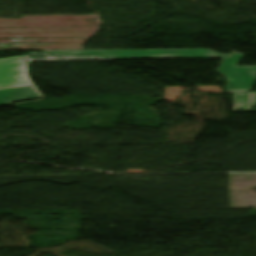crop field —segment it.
Segmentation results:
<instances>
[{
	"label": "crop field",
	"mask_w": 256,
	"mask_h": 256,
	"mask_svg": "<svg viewBox=\"0 0 256 256\" xmlns=\"http://www.w3.org/2000/svg\"><path fill=\"white\" fill-rule=\"evenodd\" d=\"M69 55H100L115 59L224 58L217 70L229 78L227 93L252 90L256 66L236 67L242 53L220 54L210 49L44 51Z\"/></svg>",
	"instance_id": "8a807250"
},
{
	"label": "crop field",
	"mask_w": 256,
	"mask_h": 256,
	"mask_svg": "<svg viewBox=\"0 0 256 256\" xmlns=\"http://www.w3.org/2000/svg\"><path fill=\"white\" fill-rule=\"evenodd\" d=\"M30 85L23 56L0 59V90Z\"/></svg>",
	"instance_id": "ac0d7876"
},
{
	"label": "crop field",
	"mask_w": 256,
	"mask_h": 256,
	"mask_svg": "<svg viewBox=\"0 0 256 256\" xmlns=\"http://www.w3.org/2000/svg\"><path fill=\"white\" fill-rule=\"evenodd\" d=\"M37 98H41V96L33 86L0 91V105Z\"/></svg>",
	"instance_id": "34b2d1b8"
},
{
	"label": "crop field",
	"mask_w": 256,
	"mask_h": 256,
	"mask_svg": "<svg viewBox=\"0 0 256 256\" xmlns=\"http://www.w3.org/2000/svg\"><path fill=\"white\" fill-rule=\"evenodd\" d=\"M26 60H64V59H107L100 56H78L72 57L67 55H49L45 53H31L26 55Z\"/></svg>",
	"instance_id": "412701ff"
}]
</instances>
